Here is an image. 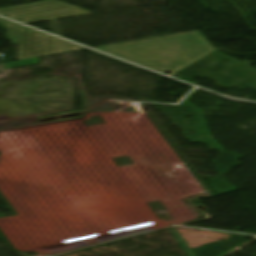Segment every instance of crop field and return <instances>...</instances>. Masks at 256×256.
<instances>
[{
  "mask_svg": "<svg viewBox=\"0 0 256 256\" xmlns=\"http://www.w3.org/2000/svg\"><path fill=\"white\" fill-rule=\"evenodd\" d=\"M68 8H74V7L54 1V0H50V1L2 8L0 9V14L6 15L11 18H15V17L44 13V12L68 9Z\"/></svg>",
  "mask_w": 256,
  "mask_h": 256,
  "instance_id": "crop-field-3",
  "label": "crop field"
},
{
  "mask_svg": "<svg viewBox=\"0 0 256 256\" xmlns=\"http://www.w3.org/2000/svg\"><path fill=\"white\" fill-rule=\"evenodd\" d=\"M95 49L160 73L172 72L174 74L215 52V49L199 31L97 47Z\"/></svg>",
  "mask_w": 256,
  "mask_h": 256,
  "instance_id": "crop-field-1",
  "label": "crop field"
},
{
  "mask_svg": "<svg viewBox=\"0 0 256 256\" xmlns=\"http://www.w3.org/2000/svg\"><path fill=\"white\" fill-rule=\"evenodd\" d=\"M11 43L19 44L18 60L82 49L77 45L44 35L0 18Z\"/></svg>",
  "mask_w": 256,
  "mask_h": 256,
  "instance_id": "crop-field-2",
  "label": "crop field"
},
{
  "mask_svg": "<svg viewBox=\"0 0 256 256\" xmlns=\"http://www.w3.org/2000/svg\"><path fill=\"white\" fill-rule=\"evenodd\" d=\"M32 60H35V62L25 63V64H19V65H13V66H8V65H11V64H17V63H22V62H27V61H32ZM39 60H40V57H38V58H32V59H26V60H20V61H15V62H9V63H6V69L13 68V67H17V66L36 64V63H39Z\"/></svg>",
  "mask_w": 256,
  "mask_h": 256,
  "instance_id": "crop-field-5",
  "label": "crop field"
},
{
  "mask_svg": "<svg viewBox=\"0 0 256 256\" xmlns=\"http://www.w3.org/2000/svg\"><path fill=\"white\" fill-rule=\"evenodd\" d=\"M86 14H90V12H87V11H84V10H81V9H78V8H74V9L50 12V13L27 16V17H21V18H15V19L19 20V21H22L24 23H29V22H36V21H44V20H51V19L79 16V15H86Z\"/></svg>",
  "mask_w": 256,
  "mask_h": 256,
  "instance_id": "crop-field-4",
  "label": "crop field"
}]
</instances>
